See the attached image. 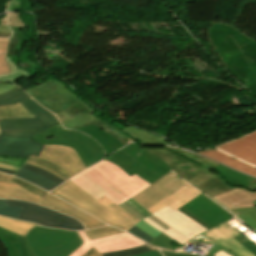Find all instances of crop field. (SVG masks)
<instances>
[{
    "instance_id": "obj_35",
    "label": "crop field",
    "mask_w": 256,
    "mask_h": 256,
    "mask_svg": "<svg viewBox=\"0 0 256 256\" xmlns=\"http://www.w3.org/2000/svg\"><path fill=\"white\" fill-rule=\"evenodd\" d=\"M0 240L9 252V256H22L16 242L8 235L0 232Z\"/></svg>"
},
{
    "instance_id": "obj_37",
    "label": "crop field",
    "mask_w": 256,
    "mask_h": 256,
    "mask_svg": "<svg viewBox=\"0 0 256 256\" xmlns=\"http://www.w3.org/2000/svg\"><path fill=\"white\" fill-rule=\"evenodd\" d=\"M173 240H171L169 237H167L165 234H161L158 237L154 238L153 240H151L150 244L157 246L161 249H165V250H171V251H176V249H174L169 243L172 242Z\"/></svg>"
},
{
    "instance_id": "obj_56",
    "label": "crop field",
    "mask_w": 256,
    "mask_h": 256,
    "mask_svg": "<svg viewBox=\"0 0 256 256\" xmlns=\"http://www.w3.org/2000/svg\"><path fill=\"white\" fill-rule=\"evenodd\" d=\"M213 148H215V149H217V150H219V151H221V152H223V153H225V154H227V155H229V156H231V157L236 158V159L239 160V161H242V162H244V163H247V164H249V165H251V166H253V167L256 168L255 165L250 164V163H248V162H246V161H244V160H242V159H239V158H237V157H235V156H233V155H231V154H229V153H227V152H225V151H223V150H221V149H219V148H217V147H213Z\"/></svg>"
},
{
    "instance_id": "obj_17",
    "label": "crop field",
    "mask_w": 256,
    "mask_h": 256,
    "mask_svg": "<svg viewBox=\"0 0 256 256\" xmlns=\"http://www.w3.org/2000/svg\"><path fill=\"white\" fill-rule=\"evenodd\" d=\"M43 145L32 140V137L0 135V155L29 158L39 156Z\"/></svg>"
},
{
    "instance_id": "obj_20",
    "label": "crop field",
    "mask_w": 256,
    "mask_h": 256,
    "mask_svg": "<svg viewBox=\"0 0 256 256\" xmlns=\"http://www.w3.org/2000/svg\"><path fill=\"white\" fill-rule=\"evenodd\" d=\"M240 234L241 233H239L237 230L223 223L201 235L230 250H233L238 256H254L232 238Z\"/></svg>"
},
{
    "instance_id": "obj_46",
    "label": "crop field",
    "mask_w": 256,
    "mask_h": 256,
    "mask_svg": "<svg viewBox=\"0 0 256 256\" xmlns=\"http://www.w3.org/2000/svg\"><path fill=\"white\" fill-rule=\"evenodd\" d=\"M127 203L129 206H131L132 208H134L136 211H138L139 213H141L143 216H148L150 215V213H148L145 209H143L141 206H139L137 203H135L133 200H128Z\"/></svg>"
},
{
    "instance_id": "obj_21",
    "label": "crop field",
    "mask_w": 256,
    "mask_h": 256,
    "mask_svg": "<svg viewBox=\"0 0 256 256\" xmlns=\"http://www.w3.org/2000/svg\"><path fill=\"white\" fill-rule=\"evenodd\" d=\"M200 194L202 193L198 192L197 190H195L193 187L186 183L146 210L149 211L151 214L166 206L175 210L183 206L184 204L188 203L195 197L199 196Z\"/></svg>"
},
{
    "instance_id": "obj_43",
    "label": "crop field",
    "mask_w": 256,
    "mask_h": 256,
    "mask_svg": "<svg viewBox=\"0 0 256 256\" xmlns=\"http://www.w3.org/2000/svg\"><path fill=\"white\" fill-rule=\"evenodd\" d=\"M18 16H20V13H9L8 14V20L10 26H21L23 27V32H26L28 29L21 20H19Z\"/></svg>"
},
{
    "instance_id": "obj_31",
    "label": "crop field",
    "mask_w": 256,
    "mask_h": 256,
    "mask_svg": "<svg viewBox=\"0 0 256 256\" xmlns=\"http://www.w3.org/2000/svg\"><path fill=\"white\" fill-rule=\"evenodd\" d=\"M63 112H65L67 115H69L70 117L77 114V113H81V114H85V113H91V111H89L83 104H81L79 101L76 102L75 104H73L72 106L68 107L67 109H65ZM95 119L91 120V121H88L86 123H83V124H80V125H77L75 127H72L70 129H74V128H78V127H82V126H85V125H89V124H92V123H95L97 121H100L97 117L93 116Z\"/></svg>"
},
{
    "instance_id": "obj_47",
    "label": "crop field",
    "mask_w": 256,
    "mask_h": 256,
    "mask_svg": "<svg viewBox=\"0 0 256 256\" xmlns=\"http://www.w3.org/2000/svg\"><path fill=\"white\" fill-rule=\"evenodd\" d=\"M123 209H125L126 211H128L130 214H132L133 216H135L137 219L141 220L145 217H143L141 214H139L138 212H136L134 209H132L131 207H129L127 204H122L120 205ZM120 207V208H121Z\"/></svg>"
},
{
    "instance_id": "obj_22",
    "label": "crop field",
    "mask_w": 256,
    "mask_h": 256,
    "mask_svg": "<svg viewBox=\"0 0 256 256\" xmlns=\"http://www.w3.org/2000/svg\"><path fill=\"white\" fill-rule=\"evenodd\" d=\"M213 172L220 174L230 186L246 188L252 177L233 171L221 164H219ZM256 180V179H255Z\"/></svg>"
},
{
    "instance_id": "obj_26",
    "label": "crop field",
    "mask_w": 256,
    "mask_h": 256,
    "mask_svg": "<svg viewBox=\"0 0 256 256\" xmlns=\"http://www.w3.org/2000/svg\"><path fill=\"white\" fill-rule=\"evenodd\" d=\"M28 98H30V96H28L19 88H16L10 92L0 95V106L14 105Z\"/></svg>"
},
{
    "instance_id": "obj_30",
    "label": "crop field",
    "mask_w": 256,
    "mask_h": 256,
    "mask_svg": "<svg viewBox=\"0 0 256 256\" xmlns=\"http://www.w3.org/2000/svg\"><path fill=\"white\" fill-rule=\"evenodd\" d=\"M167 149H169V150H171V151H173V152H175L177 154H180V155H182V156H184V157H186V158H188V159H190V160H192V161L202 165L203 167H205V168H207V169H209L211 171L218 165V163H215L213 161L207 160L205 158H202V157L197 156L195 154H192L190 152L178 150V149H175V148H167Z\"/></svg>"
},
{
    "instance_id": "obj_6",
    "label": "crop field",
    "mask_w": 256,
    "mask_h": 256,
    "mask_svg": "<svg viewBox=\"0 0 256 256\" xmlns=\"http://www.w3.org/2000/svg\"><path fill=\"white\" fill-rule=\"evenodd\" d=\"M51 193L111 226L124 231L133 226L131 223L100 204L96 199L85 193L70 180L53 189Z\"/></svg>"
},
{
    "instance_id": "obj_44",
    "label": "crop field",
    "mask_w": 256,
    "mask_h": 256,
    "mask_svg": "<svg viewBox=\"0 0 256 256\" xmlns=\"http://www.w3.org/2000/svg\"><path fill=\"white\" fill-rule=\"evenodd\" d=\"M135 226H137L138 228H140L141 230H143L145 233H147L148 235H150L153 238L156 237L157 235L161 234L143 221L138 223Z\"/></svg>"
},
{
    "instance_id": "obj_61",
    "label": "crop field",
    "mask_w": 256,
    "mask_h": 256,
    "mask_svg": "<svg viewBox=\"0 0 256 256\" xmlns=\"http://www.w3.org/2000/svg\"><path fill=\"white\" fill-rule=\"evenodd\" d=\"M1 26H7L6 18L3 20H0Z\"/></svg>"
},
{
    "instance_id": "obj_16",
    "label": "crop field",
    "mask_w": 256,
    "mask_h": 256,
    "mask_svg": "<svg viewBox=\"0 0 256 256\" xmlns=\"http://www.w3.org/2000/svg\"><path fill=\"white\" fill-rule=\"evenodd\" d=\"M184 183L186 182L170 172L165 177L152 184L145 191L141 192L140 194L136 195L131 199H133L135 202H137L139 205L146 209L164 196L168 195L169 193L183 185Z\"/></svg>"
},
{
    "instance_id": "obj_4",
    "label": "crop field",
    "mask_w": 256,
    "mask_h": 256,
    "mask_svg": "<svg viewBox=\"0 0 256 256\" xmlns=\"http://www.w3.org/2000/svg\"><path fill=\"white\" fill-rule=\"evenodd\" d=\"M24 238L34 256H69L83 244L77 232L39 226Z\"/></svg>"
},
{
    "instance_id": "obj_57",
    "label": "crop field",
    "mask_w": 256,
    "mask_h": 256,
    "mask_svg": "<svg viewBox=\"0 0 256 256\" xmlns=\"http://www.w3.org/2000/svg\"><path fill=\"white\" fill-rule=\"evenodd\" d=\"M148 218H150L151 220H153L154 222H156L158 225H160L161 227H163L164 229H168V228H170V227H168V226H166V225H164L163 223H161L159 220H157L155 217H153L152 215L151 216H149Z\"/></svg>"
},
{
    "instance_id": "obj_5",
    "label": "crop field",
    "mask_w": 256,
    "mask_h": 256,
    "mask_svg": "<svg viewBox=\"0 0 256 256\" xmlns=\"http://www.w3.org/2000/svg\"><path fill=\"white\" fill-rule=\"evenodd\" d=\"M33 139L43 145H64L75 149L86 168L104 156L103 150L95 140L76 131L64 130L60 123L34 136Z\"/></svg>"
},
{
    "instance_id": "obj_52",
    "label": "crop field",
    "mask_w": 256,
    "mask_h": 256,
    "mask_svg": "<svg viewBox=\"0 0 256 256\" xmlns=\"http://www.w3.org/2000/svg\"><path fill=\"white\" fill-rule=\"evenodd\" d=\"M164 256H197V255H190V254H183V253H173L161 250Z\"/></svg>"
},
{
    "instance_id": "obj_54",
    "label": "crop field",
    "mask_w": 256,
    "mask_h": 256,
    "mask_svg": "<svg viewBox=\"0 0 256 256\" xmlns=\"http://www.w3.org/2000/svg\"><path fill=\"white\" fill-rule=\"evenodd\" d=\"M136 256H162L161 253L158 252V250L148 253L139 254Z\"/></svg>"
},
{
    "instance_id": "obj_3",
    "label": "crop field",
    "mask_w": 256,
    "mask_h": 256,
    "mask_svg": "<svg viewBox=\"0 0 256 256\" xmlns=\"http://www.w3.org/2000/svg\"><path fill=\"white\" fill-rule=\"evenodd\" d=\"M106 159L119 166L130 176L136 174L151 184L171 171L165 162L145 151L138 144H131Z\"/></svg>"
},
{
    "instance_id": "obj_2",
    "label": "crop field",
    "mask_w": 256,
    "mask_h": 256,
    "mask_svg": "<svg viewBox=\"0 0 256 256\" xmlns=\"http://www.w3.org/2000/svg\"><path fill=\"white\" fill-rule=\"evenodd\" d=\"M146 150L157 155L167 163L172 171L210 198L236 188L230 187L220 175L168 151L165 148ZM193 168L195 170L192 172L191 170Z\"/></svg>"
},
{
    "instance_id": "obj_19",
    "label": "crop field",
    "mask_w": 256,
    "mask_h": 256,
    "mask_svg": "<svg viewBox=\"0 0 256 256\" xmlns=\"http://www.w3.org/2000/svg\"><path fill=\"white\" fill-rule=\"evenodd\" d=\"M14 176L36 184L48 191L65 182L56 175L28 163H25Z\"/></svg>"
},
{
    "instance_id": "obj_50",
    "label": "crop field",
    "mask_w": 256,
    "mask_h": 256,
    "mask_svg": "<svg viewBox=\"0 0 256 256\" xmlns=\"http://www.w3.org/2000/svg\"><path fill=\"white\" fill-rule=\"evenodd\" d=\"M8 10H21L20 0L11 1Z\"/></svg>"
},
{
    "instance_id": "obj_7",
    "label": "crop field",
    "mask_w": 256,
    "mask_h": 256,
    "mask_svg": "<svg viewBox=\"0 0 256 256\" xmlns=\"http://www.w3.org/2000/svg\"><path fill=\"white\" fill-rule=\"evenodd\" d=\"M153 216L171 228L166 231L148 218L143 221L151 225L159 232L165 233L167 236L177 241L181 245L192 239L197 234L210 229L193 215L181 208L174 211L166 207L154 213Z\"/></svg>"
},
{
    "instance_id": "obj_59",
    "label": "crop field",
    "mask_w": 256,
    "mask_h": 256,
    "mask_svg": "<svg viewBox=\"0 0 256 256\" xmlns=\"http://www.w3.org/2000/svg\"><path fill=\"white\" fill-rule=\"evenodd\" d=\"M0 172H4V173H7V174H11V175H13L15 173L14 171L2 169V168H0Z\"/></svg>"
},
{
    "instance_id": "obj_18",
    "label": "crop field",
    "mask_w": 256,
    "mask_h": 256,
    "mask_svg": "<svg viewBox=\"0 0 256 256\" xmlns=\"http://www.w3.org/2000/svg\"><path fill=\"white\" fill-rule=\"evenodd\" d=\"M40 157L51 160L64 168L72 177L86 169L75 150L63 146H45Z\"/></svg>"
},
{
    "instance_id": "obj_11",
    "label": "crop field",
    "mask_w": 256,
    "mask_h": 256,
    "mask_svg": "<svg viewBox=\"0 0 256 256\" xmlns=\"http://www.w3.org/2000/svg\"><path fill=\"white\" fill-rule=\"evenodd\" d=\"M26 92L55 115L78 100L92 112L95 111V109L70 91L66 85L53 78L28 89Z\"/></svg>"
},
{
    "instance_id": "obj_23",
    "label": "crop field",
    "mask_w": 256,
    "mask_h": 256,
    "mask_svg": "<svg viewBox=\"0 0 256 256\" xmlns=\"http://www.w3.org/2000/svg\"><path fill=\"white\" fill-rule=\"evenodd\" d=\"M122 132L146 145H166L169 143L168 140L158 138L130 126H127Z\"/></svg>"
},
{
    "instance_id": "obj_38",
    "label": "crop field",
    "mask_w": 256,
    "mask_h": 256,
    "mask_svg": "<svg viewBox=\"0 0 256 256\" xmlns=\"http://www.w3.org/2000/svg\"><path fill=\"white\" fill-rule=\"evenodd\" d=\"M9 181L19 185L20 187L26 189L27 191L31 192L32 194H34V195H36L40 198L47 193V192H45V191H43V190H41V189H39V188H37L33 185H30V184H28V183H26V182H24V181H22L18 178L12 177Z\"/></svg>"
},
{
    "instance_id": "obj_42",
    "label": "crop field",
    "mask_w": 256,
    "mask_h": 256,
    "mask_svg": "<svg viewBox=\"0 0 256 256\" xmlns=\"http://www.w3.org/2000/svg\"><path fill=\"white\" fill-rule=\"evenodd\" d=\"M26 160L27 159H25V158L0 156L1 163L11 164V165L19 166V167H21L26 162Z\"/></svg>"
},
{
    "instance_id": "obj_12",
    "label": "crop field",
    "mask_w": 256,
    "mask_h": 256,
    "mask_svg": "<svg viewBox=\"0 0 256 256\" xmlns=\"http://www.w3.org/2000/svg\"><path fill=\"white\" fill-rule=\"evenodd\" d=\"M7 205L23 207L18 220L38 223L40 225L69 230H83L77 220L51 209L18 200H5Z\"/></svg>"
},
{
    "instance_id": "obj_8",
    "label": "crop field",
    "mask_w": 256,
    "mask_h": 256,
    "mask_svg": "<svg viewBox=\"0 0 256 256\" xmlns=\"http://www.w3.org/2000/svg\"><path fill=\"white\" fill-rule=\"evenodd\" d=\"M11 176L0 173V198H15L32 201L41 205L47 206L61 213L71 215L80 220L84 227L91 229L104 226L105 224L93 219L86 213L74 208L73 206L61 201L60 199L50 195L49 193L43 198H38L24 189L14 185L8 180Z\"/></svg>"
},
{
    "instance_id": "obj_41",
    "label": "crop field",
    "mask_w": 256,
    "mask_h": 256,
    "mask_svg": "<svg viewBox=\"0 0 256 256\" xmlns=\"http://www.w3.org/2000/svg\"><path fill=\"white\" fill-rule=\"evenodd\" d=\"M9 39H0V75L8 73V68L4 57H6V51Z\"/></svg>"
},
{
    "instance_id": "obj_51",
    "label": "crop field",
    "mask_w": 256,
    "mask_h": 256,
    "mask_svg": "<svg viewBox=\"0 0 256 256\" xmlns=\"http://www.w3.org/2000/svg\"><path fill=\"white\" fill-rule=\"evenodd\" d=\"M13 31L16 32L18 38H19V44L18 45H23V36L21 35L22 28L20 27H10Z\"/></svg>"
},
{
    "instance_id": "obj_25",
    "label": "crop field",
    "mask_w": 256,
    "mask_h": 256,
    "mask_svg": "<svg viewBox=\"0 0 256 256\" xmlns=\"http://www.w3.org/2000/svg\"><path fill=\"white\" fill-rule=\"evenodd\" d=\"M35 224L0 217V227L23 236Z\"/></svg>"
},
{
    "instance_id": "obj_36",
    "label": "crop field",
    "mask_w": 256,
    "mask_h": 256,
    "mask_svg": "<svg viewBox=\"0 0 256 256\" xmlns=\"http://www.w3.org/2000/svg\"><path fill=\"white\" fill-rule=\"evenodd\" d=\"M197 242L200 243H205V244H215L209 240H207L206 238H204L203 236L199 235L197 237H195L193 240H191L189 242V244H196ZM220 249H222L223 251H225L226 253L232 255V256H237L235 255L232 251H229L217 244H215L213 247L210 248V251L206 254V256H213L216 252H218Z\"/></svg>"
},
{
    "instance_id": "obj_53",
    "label": "crop field",
    "mask_w": 256,
    "mask_h": 256,
    "mask_svg": "<svg viewBox=\"0 0 256 256\" xmlns=\"http://www.w3.org/2000/svg\"><path fill=\"white\" fill-rule=\"evenodd\" d=\"M11 32L7 27H0V37H9Z\"/></svg>"
},
{
    "instance_id": "obj_9",
    "label": "crop field",
    "mask_w": 256,
    "mask_h": 256,
    "mask_svg": "<svg viewBox=\"0 0 256 256\" xmlns=\"http://www.w3.org/2000/svg\"><path fill=\"white\" fill-rule=\"evenodd\" d=\"M35 102L30 99L21 105L36 118L0 119L1 134L34 136L59 122L53 114Z\"/></svg>"
},
{
    "instance_id": "obj_34",
    "label": "crop field",
    "mask_w": 256,
    "mask_h": 256,
    "mask_svg": "<svg viewBox=\"0 0 256 256\" xmlns=\"http://www.w3.org/2000/svg\"><path fill=\"white\" fill-rule=\"evenodd\" d=\"M234 210L241 214L237 216L239 219H241L256 230V211L250 208H241Z\"/></svg>"
},
{
    "instance_id": "obj_33",
    "label": "crop field",
    "mask_w": 256,
    "mask_h": 256,
    "mask_svg": "<svg viewBox=\"0 0 256 256\" xmlns=\"http://www.w3.org/2000/svg\"><path fill=\"white\" fill-rule=\"evenodd\" d=\"M84 232L87 235V237L89 238V240H91V239H95V238H99V237L119 233L121 231H119V230H117V229H115L111 226H104V227H100V228H97V229L84 231Z\"/></svg>"
},
{
    "instance_id": "obj_40",
    "label": "crop field",
    "mask_w": 256,
    "mask_h": 256,
    "mask_svg": "<svg viewBox=\"0 0 256 256\" xmlns=\"http://www.w3.org/2000/svg\"><path fill=\"white\" fill-rule=\"evenodd\" d=\"M0 231H3L5 233L9 234L18 243L23 256H33V254L31 253L30 249L28 248L23 237H21L17 234H14L12 232H9L5 229H2V228H0Z\"/></svg>"
},
{
    "instance_id": "obj_15",
    "label": "crop field",
    "mask_w": 256,
    "mask_h": 256,
    "mask_svg": "<svg viewBox=\"0 0 256 256\" xmlns=\"http://www.w3.org/2000/svg\"><path fill=\"white\" fill-rule=\"evenodd\" d=\"M85 244L74 252L71 256H83L87 251H89L93 246L100 252H110L116 250H122L132 247H137L145 245V243L139 241L138 239L128 235L127 233H119L95 240L89 241L83 231H79Z\"/></svg>"
},
{
    "instance_id": "obj_10",
    "label": "crop field",
    "mask_w": 256,
    "mask_h": 256,
    "mask_svg": "<svg viewBox=\"0 0 256 256\" xmlns=\"http://www.w3.org/2000/svg\"><path fill=\"white\" fill-rule=\"evenodd\" d=\"M227 152H230L248 162L256 165V132L233 142L217 146ZM201 155L217 160L231 168L241 171L245 174L256 176V169L239 162L215 149L198 152Z\"/></svg>"
},
{
    "instance_id": "obj_28",
    "label": "crop field",
    "mask_w": 256,
    "mask_h": 256,
    "mask_svg": "<svg viewBox=\"0 0 256 256\" xmlns=\"http://www.w3.org/2000/svg\"><path fill=\"white\" fill-rule=\"evenodd\" d=\"M15 117H34L20 103L9 106L0 107V118H15Z\"/></svg>"
},
{
    "instance_id": "obj_1",
    "label": "crop field",
    "mask_w": 256,
    "mask_h": 256,
    "mask_svg": "<svg viewBox=\"0 0 256 256\" xmlns=\"http://www.w3.org/2000/svg\"><path fill=\"white\" fill-rule=\"evenodd\" d=\"M135 175L104 160L70 180L94 198L104 195L119 205L151 185Z\"/></svg>"
},
{
    "instance_id": "obj_48",
    "label": "crop field",
    "mask_w": 256,
    "mask_h": 256,
    "mask_svg": "<svg viewBox=\"0 0 256 256\" xmlns=\"http://www.w3.org/2000/svg\"><path fill=\"white\" fill-rule=\"evenodd\" d=\"M256 256V245L250 240L241 244Z\"/></svg>"
},
{
    "instance_id": "obj_58",
    "label": "crop field",
    "mask_w": 256,
    "mask_h": 256,
    "mask_svg": "<svg viewBox=\"0 0 256 256\" xmlns=\"http://www.w3.org/2000/svg\"><path fill=\"white\" fill-rule=\"evenodd\" d=\"M0 167L15 170V171H17L19 169L18 167L6 165V164H1V163H0Z\"/></svg>"
},
{
    "instance_id": "obj_24",
    "label": "crop field",
    "mask_w": 256,
    "mask_h": 256,
    "mask_svg": "<svg viewBox=\"0 0 256 256\" xmlns=\"http://www.w3.org/2000/svg\"><path fill=\"white\" fill-rule=\"evenodd\" d=\"M27 162L36 164L54 174H56L57 176H59L60 178H62L65 181L68 180L69 178H71L65 170L58 167L55 163H53L51 161L44 160L40 157L30 156V158L28 159Z\"/></svg>"
},
{
    "instance_id": "obj_60",
    "label": "crop field",
    "mask_w": 256,
    "mask_h": 256,
    "mask_svg": "<svg viewBox=\"0 0 256 256\" xmlns=\"http://www.w3.org/2000/svg\"><path fill=\"white\" fill-rule=\"evenodd\" d=\"M214 256H229V255H227L225 252H223V251H219L217 254H215Z\"/></svg>"
},
{
    "instance_id": "obj_13",
    "label": "crop field",
    "mask_w": 256,
    "mask_h": 256,
    "mask_svg": "<svg viewBox=\"0 0 256 256\" xmlns=\"http://www.w3.org/2000/svg\"><path fill=\"white\" fill-rule=\"evenodd\" d=\"M104 129L106 131H103ZM75 130L83 132L98 141L104 148L106 154H111L123 146L135 141L126 136L127 134L125 135L122 133L121 130L103 121Z\"/></svg>"
},
{
    "instance_id": "obj_32",
    "label": "crop field",
    "mask_w": 256,
    "mask_h": 256,
    "mask_svg": "<svg viewBox=\"0 0 256 256\" xmlns=\"http://www.w3.org/2000/svg\"><path fill=\"white\" fill-rule=\"evenodd\" d=\"M98 201L100 203L104 204L105 206H107L108 208H110L111 210H113L114 212H116L117 214H119L120 216H122L123 218H125L126 220H128L129 222H131L134 225L139 221L135 217L130 215L128 212H126L125 210H123L118 205H116L115 203H113L112 201H110L109 199H107L104 196L99 198Z\"/></svg>"
},
{
    "instance_id": "obj_29",
    "label": "crop field",
    "mask_w": 256,
    "mask_h": 256,
    "mask_svg": "<svg viewBox=\"0 0 256 256\" xmlns=\"http://www.w3.org/2000/svg\"><path fill=\"white\" fill-rule=\"evenodd\" d=\"M56 116L60 120L62 126L65 128H69V127H72L77 124H80V123H83V122L93 119L91 114H86V115L77 114L70 118L62 112Z\"/></svg>"
},
{
    "instance_id": "obj_45",
    "label": "crop field",
    "mask_w": 256,
    "mask_h": 256,
    "mask_svg": "<svg viewBox=\"0 0 256 256\" xmlns=\"http://www.w3.org/2000/svg\"><path fill=\"white\" fill-rule=\"evenodd\" d=\"M128 232L134 234L135 236H137L147 242L150 241L151 239H153L135 226L133 228H131Z\"/></svg>"
},
{
    "instance_id": "obj_27",
    "label": "crop field",
    "mask_w": 256,
    "mask_h": 256,
    "mask_svg": "<svg viewBox=\"0 0 256 256\" xmlns=\"http://www.w3.org/2000/svg\"><path fill=\"white\" fill-rule=\"evenodd\" d=\"M14 56H10L5 58L10 73L4 74L0 76V81H9L11 83H14L17 79L26 76L27 78L30 77V74L24 70L18 69L15 64L12 62Z\"/></svg>"
},
{
    "instance_id": "obj_39",
    "label": "crop field",
    "mask_w": 256,
    "mask_h": 256,
    "mask_svg": "<svg viewBox=\"0 0 256 256\" xmlns=\"http://www.w3.org/2000/svg\"><path fill=\"white\" fill-rule=\"evenodd\" d=\"M22 208L6 206L4 200H0V215L17 219Z\"/></svg>"
},
{
    "instance_id": "obj_62",
    "label": "crop field",
    "mask_w": 256,
    "mask_h": 256,
    "mask_svg": "<svg viewBox=\"0 0 256 256\" xmlns=\"http://www.w3.org/2000/svg\"><path fill=\"white\" fill-rule=\"evenodd\" d=\"M252 203L256 206V200L252 201ZM252 209L256 210V208H252Z\"/></svg>"
},
{
    "instance_id": "obj_14",
    "label": "crop field",
    "mask_w": 256,
    "mask_h": 256,
    "mask_svg": "<svg viewBox=\"0 0 256 256\" xmlns=\"http://www.w3.org/2000/svg\"><path fill=\"white\" fill-rule=\"evenodd\" d=\"M181 208L193 214L211 228L233 218V215L203 194Z\"/></svg>"
},
{
    "instance_id": "obj_49",
    "label": "crop field",
    "mask_w": 256,
    "mask_h": 256,
    "mask_svg": "<svg viewBox=\"0 0 256 256\" xmlns=\"http://www.w3.org/2000/svg\"><path fill=\"white\" fill-rule=\"evenodd\" d=\"M17 86L15 85H12V84H8V83H0V94L1 93H4V92H7L13 88H15Z\"/></svg>"
},
{
    "instance_id": "obj_55",
    "label": "crop field",
    "mask_w": 256,
    "mask_h": 256,
    "mask_svg": "<svg viewBox=\"0 0 256 256\" xmlns=\"http://www.w3.org/2000/svg\"><path fill=\"white\" fill-rule=\"evenodd\" d=\"M84 256H101V254L93 247L88 253Z\"/></svg>"
}]
</instances>
